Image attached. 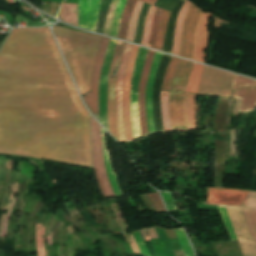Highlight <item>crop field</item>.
Instances as JSON below:
<instances>
[{
    "instance_id": "crop-field-1",
    "label": "crop field",
    "mask_w": 256,
    "mask_h": 256,
    "mask_svg": "<svg viewBox=\"0 0 256 256\" xmlns=\"http://www.w3.org/2000/svg\"><path fill=\"white\" fill-rule=\"evenodd\" d=\"M0 153L92 167L88 113L44 28H15L0 51Z\"/></svg>"
},
{
    "instance_id": "crop-field-2",
    "label": "crop field",
    "mask_w": 256,
    "mask_h": 256,
    "mask_svg": "<svg viewBox=\"0 0 256 256\" xmlns=\"http://www.w3.org/2000/svg\"><path fill=\"white\" fill-rule=\"evenodd\" d=\"M53 32L81 94L88 92L101 36L88 35L62 27H54Z\"/></svg>"
},
{
    "instance_id": "crop-field-3",
    "label": "crop field",
    "mask_w": 256,
    "mask_h": 256,
    "mask_svg": "<svg viewBox=\"0 0 256 256\" xmlns=\"http://www.w3.org/2000/svg\"><path fill=\"white\" fill-rule=\"evenodd\" d=\"M193 62L179 60L170 90L169 116L172 130H186L183 106V91L189 79Z\"/></svg>"
},
{
    "instance_id": "crop-field-4",
    "label": "crop field",
    "mask_w": 256,
    "mask_h": 256,
    "mask_svg": "<svg viewBox=\"0 0 256 256\" xmlns=\"http://www.w3.org/2000/svg\"><path fill=\"white\" fill-rule=\"evenodd\" d=\"M233 76L205 66L197 94L230 98Z\"/></svg>"
},
{
    "instance_id": "crop-field-5",
    "label": "crop field",
    "mask_w": 256,
    "mask_h": 256,
    "mask_svg": "<svg viewBox=\"0 0 256 256\" xmlns=\"http://www.w3.org/2000/svg\"><path fill=\"white\" fill-rule=\"evenodd\" d=\"M91 123V141H92V159L94 165L95 177L98 182L102 197H115L113 189L107 179L106 169L103 162L100 126L90 117Z\"/></svg>"
},
{
    "instance_id": "crop-field-6",
    "label": "crop field",
    "mask_w": 256,
    "mask_h": 256,
    "mask_svg": "<svg viewBox=\"0 0 256 256\" xmlns=\"http://www.w3.org/2000/svg\"><path fill=\"white\" fill-rule=\"evenodd\" d=\"M202 10L191 3L184 19L179 55L192 60L196 25Z\"/></svg>"
},
{
    "instance_id": "crop-field-7",
    "label": "crop field",
    "mask_w": 256,
    "mask_h": 256,
    "mask_svg": "<svg viewBox=\"0 0 256 256\" xmlns=\"http://www.w3.org/2000/svg\"><path fill=\"white\" fill-rule=\"evenodd\" d=\"M203 65L194 64L192 73L185 91L191 93H197L199 86ZM195 103L196 95L188 94L184 92V106L186 116L187 131L195 129Z\"/></svg>"
},
{
    "instance_id": "crop-field-8",
    "label": "crop field",
    "mask_w": 256,
    "mask_h": 256,
    "mask_svg": "<svg viewBox=\"0 0 256 256\" xmlns=\"http://www.w3.org/2000/svg\"><path fill=\"white\" fill-rule=\"evenodd\" d=\"M108 38L102 36L98 54L95 60V64L92 71V83H91V92L82 96L85 102L87 103L88 107L92 111V113L96 116L99 120L98 115V85H99V77L100 71L103 63V58L105 54V50L108 43Z\"/></svg>"
},
{
    "instance_id": "crop-field-9",
    "label": "crop field",
    "mask_w": 256,
    "mask_h": 256,
    "mask_svg": "<svg viewBox=\"0 0 256 256\" xmlns=\"http://www.w3.org/2000/svg\"><path fill=\"white\" fill-rule=\"evenodd\" d=\"M131 49V44H125V48L123 51V55L121 58L119 70H118V78L115 87V104H116V116H117V128H118V136L119 142L126 141L124 127H123V110H122V87L125 76V69L127 60L129 57Z\"/></svg>"
},
{
    "instance_id": "crop-field-10",
    "label": "crop field",
    "mask_w": 256,
    "mask_h": 256,
    "mask_svg": "<svg viewBox=\"0 0 256 256\" xmlns=\"http://www.w3.org/2000/svg\"><path fill=\"white\" fill-rule=\"evenodd\" d=\"M112 39V38H111ZM109 41L108 49L106 52V56L104 59L102 71H101V78H100V85H99V115H100V122L105 126L108 130L107 124V82H108V73L110 69V64L114 52V48L116 45L115 40ZM109 131V130H108Z\"/></svg>"
},
{
    "instance_id": "crop-field-11",
    "label": "crop field",
    "mask_w": 256,
    "mask_h": 256,
    "mask_svg": "<svg viewBox=\"0 0 256 256\" xmlns=\"http://www.w3.org/2000/svg\"><path fill=\"white\" fill-rule=\"evenodd\" d=\"M147 49L139 48L137 55L133 76H132V91H131V121L134 139L141 137L138 124V110H137V90L139 84L140 73L143 67Z\"/></svg>"
},
{
    "instance_id": "crop-field-12",
    "label": "crop field",
    "mask_w": 256,
    "mask_h": 256,
    "mask_svg": "<svg viewBox=\"0 0 256 256\" xmlns=\"http://www.w3.org/2000/svg\"><path fill=\"white\" fill-rule=\"evenodd\" d=\"M248 192L220 188H207V203L243 206Z\"/></svg>"
},
{
    "instance_id": "crop-field-13",
    "label": "crop field",
    "mask_w": 256,
    "mask_h": 256,
    "mask_svg": "<svg viewBox=\"0 0 256 256\" xmlns=\"http://www.w3.org/2000/svg\"><path fill=\"white\" fill-rule=\"evenodd\" d=\"M138 46H132L128 67L126 71L125 76V82L123 87V109H124V127H125V133H126V139L131 140L132 134H131V123H130V81L132 76V70L135 62V57L138 51Z\"/></svg>"
},
{
    "instance_id": "crop-field-14",
    "label": "crop field",
    "mask_w": 256,
    "mask_h": 256,
    "mask_svg": "<svg viewBox=\"0 0 256 256\" xmlns=\"http://www.w3.org/2000/svg\"><path fill=\"white\" fill-rule=\"evenodd\" d=\"M154 51H148L144 67L141 73V80L139 84V90H138V106H139V123H140V130L142 136L147 135V126H146V114H145V88H146V82L150 70V65L152 58L154 56Z\"/></svg>"
},
{
    "instance_id": "crop-field-15",
    "label": "crop field",
    "mask_w": 256,
    "mask_h": 256,
    "mask_svg": "<svg viewBox=\"0 0 256 256\" xmlns=\"http://www.w3.org/2000/svg\"><path fill=\"white\" fill-rule=\"evenodd\" d=\"M210 17H211L210 14L202 12L199 17L198 25H197L193 60L203 62V63L205 60Z\"/></svg>"
},
{
    "instance_id": "crop-field-16",
    "label": "crop field",
    "mask_w": 256,
    "mask_h": 256,
    "mask_svg": "<svg viewBox=\"0 0 256 256\" xmlns=\"http://www.w3.org/2000/svg\"><path fill=\"white\" fill-rule=\"evenodd\" d=\"M100 0L78 1V26L89 30L95 28Z\"/></svg>"
},
{
    "instance_id": "crop-field-17",
    "label": "crop field",
    "mask_w": 256,
    "mask_h": 256,
    "mask_svg": "<svg viewBox=\"0 0 256 256\" xmlns=\"http://www.w3.org/2000/svg\"><path fill=\"white\" fill-rule=\"evenodd\" d=\"M170 58H171L170 56H167L165 54L163 55L160 62L155 85L153 88V108H154V121H155L156 132L163 131L161 113H160V88H161V83L166 71V67L170 61Z\"/></svg>"
},
{
    "instance_id": "crop-field-18",
    "label": "crop field",
    "mask_w": 256,
    "mask_h": 256,
    "mask_svg": "<svg viewBox=\"0 0 256 256\" xmlns=\"http://www.w3.org/2000/svg\"><path fill=\"white\" fill-rule=\"evenodd\" d=\"M162 54L161 53H155V56L152 61L151 65V71L147 83L146 88V114H147V125H148V131L150 133H154V121H153V110H152V88L154 85V81L157 74V68L160 62Z\"/></svg>"
},
{
    "instance_id": "crop-field-19",
    "label": "crop field",
    "mask_w": 256,
    "mask_h": 256,
    "mask_svg": "<svg viewBox=\"0 0 256 256\" xmlns=\"http://www.w3.org/2000/svg\"><path fill=\"white\" fill-rule=\"evenodd\" d=\"M232 98L242 99L238 112H248L256 109V88L237 90Z\"/></svg>"
},
{
    "instance_id": "crop-field-20",
    "label": "crop field",
    "mask_w": 256,
    "mask_h": 256,
    "mask_svg": "<svg viewBox=\"0 0 256 256\" xmlns=\"http://www.w3.org/2000/svg\"><path fill=\"white\" fill-rule=\"evenodd\" d=\"M115 78L109 79L108 83V118H109V127L110 133L118 141L117 129H116V118H115V106H114V87H115Z\"/></svg>"
},
{
    "instance_id": "crop-field-21",
    "label": "crop field",
    "mask_w": 256,
    "mask_h": 256,
    "mask_svg": "<svg viewBox=\"0 0 256 256\" xmlns=\"http://www.w3.org/2000/svg\"><path fill=\"white\" fill-rule=\"evenodd\" d=\"M184 2H185V0H179V2L175 6V8L170 16L167 31H166L165 41H164V45H163V49H162L163 51H166L169 53L171 51L172 35H173V29H174L176 16Z\"/></svg>"
},
{
    "instance_id": "crop-field-22",
    "label": "crop field",
    "mask_w": 256,
    "mask_h": 256,
    "mask_svg": "<svg viewBox=\"0 0 256 256\" xmlns=\"http://www.w3.org/2000/svg\"><path fill=\"white\" fill-rule=\"evenodd\" d=\"M101 134H102L103 155H104V161H105L108 177H109V180L111 182V185L114 189V192H115L116 196L120 197V196H123V195L120 191L116 175L113 174V172L111 170L110 161H109V154H108V151H106V146H105V132L103 131L102 128H101Z\"/></svg>"
},
{
    "instance_id": "crop-field-23",
    "label": "crop field",
    "mask_w": 256,
    "mask_h": 256,
    "mask_svg": "<svg viewBox=\"0 0 256 256\" xmlns=\"http://www.w3.org/2000/svg\"><path fill=\"white\" fill-rule=\"evenodd\" d=\"M190 3L191 2L186 0L185 4L183 5L182 9L180 10V12L178 14L176 25H175L174 37H173L172 52H171L173 54L178 55L182 22H183L185 12H186L188 6L190 5Z\"/></svg>"
},
{
    "instance_id": "crop-field-24",
    "label": "crop field",
    "mask_w": 256,
    "mask_h": 256,
    "mask_svg": "<svg viewBox=\"0 0 256 256\" xmlns=\"http://www.w3.org/2000/svg\"><path fill=\"white\" fill-rule=\"evenodd\" d=\"M60 18L77 26V4L64 3L61 7Z\"/></svg>"
},
{
    "instance_id": "crop-field-25",
    "label": "crop field",
    "mask_w": 256,
    "mask_h": 256,
    "mask_svg": "<svg viewBox=\"0 0 256 256\" xmlns=\"http://www.w3.org/2000/svg\"><path fill=\"white\" fill-rule=\"evenodd\" d=\"M135 2H136V0H127L126 6L124 9L122 18H121L120 28H119V32H118V36H117L119 38L125 39V34H126V30H127L129 17H130V14L132 12Z\"/></svg>"
},
{
    "instance_id": "crop-field-26",
    "label": "crop field",
    "mask_w": 256,
    "mask_h": 256,
    "mask_svg": "<svg viewBox=\"0 0 256 256\" xmlns=\"http://www.w3.org/2000/svg\"><path fill=\"white\" fill-rule=\"evenodd\" d=\"M256 246V210L241 208Z\"/></svg>"
},
{
    "instance_id": "crop-field-27",
    "label": "crop field",
    "mask_w": 256,
    "mask_h": 256,
    "mask_svg": "<svg viewBox=\"0 0 256 256\" xmlns=\"http://www.w3.org/2000/svg\"><path fill=\"white\" fill-rule=\"evenodd\" d=\"M142 2L137 1L136 5L133 9V12L131 14V19H130V24H129V28H128V33H127V40H130L133 42L134 40V35H135V31H136V25H137V19H138V14L140 12L141 6H142Z\"/></svg>"
},
{
    "instance_id": "crop-field-28",
    "label": "crop field",
    "mask_w": 256,
    "mask_h": 256,
    "mask_svg": "<svg viewBox=\"0 0 256 256\" xmlns=\"http://www.w3.org/2000/svg\"><path fill=\"white\" fill-rule=\"evenodd\" d=\"M178 60L179 59H177V58H173V57L171 58V61L169 63V66L167 68V71H166V74H165V77H164V80L162 83V90L169 91V88H170L171 82H172V78L174 76V73H175V70L177 67Z\"/></svg>"
},
{
    "instance_id": "crop-field-29",
    "label": "crop field",
    "mask_w": 256,
    "mask_h": 256,
    "mask_svg": "<svg viewBox=\"0 0 256 256\" xmlns=\"http://www.w3.org/2000/svg\"><path fill=\"white\" fill-rule=\"evenodd\" d=\"M170 12L163 11L162 17H161V22L159 26V31H158V36H157V41L156 45L154 48L156 49H162L163 41H164V35H165V29L167 25V21L169 18Z\"/></svg>"
},
{
    "instance_id": "crop-field-30",
    "label": "crop field",
    "mask_w": 256,
    "mask_h": 256,
    "mask_svg": "<svg viewBox=\"0 0 256 256\" xmlns=\"http://www.w3.org/2000/svg\"><path fill=\"white\" fill-rule=\"evenodd\" d=\"M168 93L169 92H161V109L164 131H171L167 107Z\"/></svg>"
},
{
    "instance_id": "crop-field-31",
    "label": "crop field",
    "mask_w": 256,
    "mask_h": 256,
    "mask_svg": "<svg viewBox=\"0 0 256 256\" xmlns=\"http://www.w3.org/2000/svg\"><path fill=\"white\" fill-rule=\"evenodd\" d=\"M162 11L163 10L158 7L155 11L153 22H152V27H151V34H150V38H149L148 45H147L148 47H152V48L154 47Z\"/></svg>"
},
{
    "instance_id": "crop-field-32",
    "label": "crop field",
    "mask_w": 256,
    "mask_h": 256,
    "mask_svg": "<svg viewBox=\"0 0 256 256\" xmlns=\"http://www.w3.org/2000/svg\"><path fill=\"white\" fill-rule=\"evenodd\" d=\"M126 0H118L115 12H114V19H113V25L111 29V36H117L118 32V27H119V22H120V17L121 13L123 11L124 5H125Z\"/></svg>"
},
{
    "instance_id": "crop-field-33",
    "label": "crop field",
    "mask_w": 256,
    "mask_h": 256,
    "mask_svg": "<svg viewBox=\"0 0 256 256\" xmlns=\"http://www.w3.org/2000/svg\"><path fill=\"white\" fill-rule=\"evenodd\" d=\"M124 44L125 43H123V42H119V41L117 42L111 69H110V73H109V78L115 76L117 73V69H118V65H119V61H120V57H121V54L123 51Z\"/></svg>"
},
{
    "instance_id": "crop-field-34",
    "label": "crop field",
    "mask_w": 256,
    "mask_h": 256,
    "mask_svg": "<svg viewBox=\"0 0 256 256\" xmlns=\"http://www.w3.org/2000/svg\"><path fill=\"white\" fill-rule=\"evenodd\" d=\"M177 239L185 256H194L183 230H175Z\"/></svg>"
},
{
    "instance_id": "crop-field-35",
    "label": "crop field",
    "mask_w": 256,
    "mask_h": 256,
    "mask_svg": "<svg viewBox=\"0 0 256 256\" xmlns=\"http://www.w3.org/2000/svg\"><path fill=\"white\" fill-rule=\"evenodd\" d=\"M154 11H155V7L150 6L149 11H148V15H147V18H146L144 30H143V36H142V42H141V44L145 45V46L147 45L150 26H151V21H152Z\"/></svg>"
},
{
    "instance_id": "crop-field-36",
    "label": "crop field",
    "mask_w": 256,
    "mask_h": 256,
    "mask_svg": "<svg viewBox=\"0 0 256 256\" xmlns=\"http://www.w3.org/2000/svg\"><path fill=\"white\" fill-rule=\"evenodd\" d=\"M243 87H256V81L235 75L232 90Z\"/></svg>"
},
{
    "instance_id": "crop-field-37",
    "label": "crop field",
    "mask_w": 256,
    "mask_h": 256,
    "mask_svg": "<svg viewBox=\"0 0 256 256\" xmlns=\"http://www.w3.org/2000/svg\"><path fill=\"white\" fill-rule=\"evenodd\" d=\"M219 207V211L221 214V218H222V222L226 228V231L230 237L231 240H237L234 234V231L232 229L231 223L229 221V218L227 216L226 210L224 207L218 206Z\"/></svg>"
},
{
    "instance_id": "crop-field-38",
    "label": "crop field",
    "mask_w": 256,
    "mask_h": 256,
    "mask_svg": "<svg viewBox=\"0 0 256 256\" xmlns=\"http://www.w3.org/2000/svg\"><path fill=\"white\" fill-rule=\"evenodd\" d=\"M147 196L149 197L152 205L154 206L156 212H166L162 202L160 200V197L158 195V193H154V194H147Z\"/></svg>"
},
{
    "instance_id": "crop-field-39",
    "label": "crop field",
    "mask_w": 256,
    "mask_h": 256,
    "mask_svg": "<svg viewBox=\"0 0 256 256\" xmlns=\"http://www.w3.org/2000/svg\"><path fill=\"white\" fill-rule=\"evenodd\" d=\"M132 235H133V237H134V239H135V241H136V243L139 247V250H140L141 254L150 255V253H149V251H148V249H147L139 231L133 233Z\"/></svg>"
},
{
    "instance_id": "crop-field-40",
    "label": "crop field",
    "mask_w": 256,
    "mask_h": 256,
    "mask_svg": "<svg viewBox=\"0 0 256 256\" xmlns=\"http://www.w3.org/2000/svg\"><path fill=\"white\" fill-rule=\"evenodd\" d=\"M161 194L170 212L178 208L172 194L166 192Z\"/></svg>"
},
{
    "instance_id": "crop-field-41",
    "label": "crop field",
    "mask_w": 256,
    "mask_h": 256,
    "mask_svg": "<svg viewBox=\"0 0 256 256\" xmlns=\"http://www.w3.org/2000/svg\"><path fill=\"white\" fill-rule=\"evenodd\" d=\"M244 206L256 208V193H254V192L248 193V196H247Z\"/></svg>"
},
{
    "instance_id": "crop-field-42",
    "label": "crop field",
    "mask_w": 256,
    "mask_h": 256,
    "mask_svg": "<svg viewBox=\"0 0 256 256\" xmlns=\"http://www.w3.org/2000/svg\"><path fill=\"white\" fill-rule=\"evenodd\" d=\"M147 230H148V233H149L151 238H158L153 227L152 228H148Z\"/></svg>"
},
{
    "instance_id": "crop-field-43",
    "label": "crop field",
    "mask_w": 256,
    "mask_h": 256,
    "mask_svg": "<svg viewBox=\"0 0 256 256\" xmlns=\"http://www.w3.org/2000/svg\"><path fill=\"white\" fill-rule=\"evenodd\" d=\"M140 1L154 5L156 0H140Z\"/></svg>"
}]
</instances>
